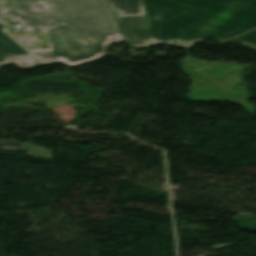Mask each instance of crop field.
I'll return each mask as SVG.
<instances>
[{
	"mask_svg": "<svg viewBox=\"0 0 256 256\" xmlns=\"http://www.w3.org/2000/svg\"><path fill=\"white\" fill-rule=\"evenodd\" d=\"M237 42L256 50V30L236 37Z\"/></svg>",
	"mask_w": 256,
	"mask_h": 256,
	"instance_id": "6",
	"label": "crop field"
},
{
	"mask_svg": "<svg viewBox=\"0 0 256 256\" xmlns=\"http://www.w3.org/2000/svg\"><path fill=\"white\" fill-rule=\"evenodd\" d=\"M2 15L21 23L23 29L12 32L47 35L50 48L28 50L37 59L18 63L23 69L56 61L71 66L91 62L108 44L124 41L107 0H2ZM109 36L118 38L109 42Z\"/></svg>",
	"mask_w": 256,
	"mask_h": 256,
	"instance_id": "1",
	"label": "crop field"
},
{
	"mask_svg": "<svg viewBox=\"0 0 256 256\" xmlns=\"http://www.w3.org/2000/svg\"><path fill=\"white\" fill-rule=\"evenodd\" d=\"M151 45L187 49L205 38L227 40L256 27V0H142Z\"/></svg>",
	"mask_w": 256,
	"mask_h": 256,
	"instance_id": "2",
	"label": "crop field"
},
{
	"mask_svg": "<svg viewBox=\"0 0 256 256\" xmlns=\"http://www.w3.org/2000/svg\"><path fill=\"white\" fill-rule=\"evenodd\" d=\"M4 27L5 23L0 21V66L34 59L33 55L3 31Z\"/></svg>",
	"mask_w": 256,
	"mask_h": 256,
	"instance_id": "4",
	"label": "crop field"
},
{
	"mask_svg": "<svg viewBox=\"0 0 256 256\" xmlns=\"http://www.w3.org/2000/svg\"><path fill=\"white\" fill-rule=\"evenodd\" d=\"M0 149L2 150H25V144L19 141L0 140Z\"/></svg>",
	"mask_w": 256,
	"mask_h": 256,
	"instance_id": "7",
	"label": "crop field"
},
{
	"mask_svg": "<svg viewBox=\"0 0 256 256\" xmlns=\"http://www.w3.org/2000/svg\"><path fill=\"white\" fill-rule=\"evenodd\" d=\"M0 70H1V68H0Z\"/></svg>",
	"mask_w": 256,
	"mask_h": 256,
	"instance_id": "8",
	"label": "crop field"
},
{
	"mask_svg": "<svg viewBox=\"0 0 256 256\" xmlns=\"http://www.w3.org/2000/svg\"><path fill=\"white\" fill-rule=\"evenodd\" d=\"M116 17L145 15L141 0H110Z\"/></svg>",
	"mask_w": 256,
	"mask_h": 256,
	"instance_id": "5",
	"label": "crop field"
},
{
	"mask_svg": "<svg viewBox=\"0 0 256 256\" xmlns=\"http://www.w3.org/2000/svg\"><path fill=\"white\" fill-rule=\"evenodd\" d=\"M128 45L145 48L150 45L146 16L117 18Z\"/></svg>",
	"mask_w": 256,
	"mask_h": 256,
	"instance_id": "3",
	"label": "crop field"
}]
</instances>
